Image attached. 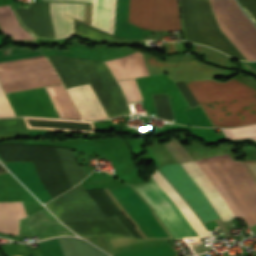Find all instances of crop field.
Wrapping results in <instances>:
<instances>
[{
  "instance_id": "d8731c3e",
  "label": "crop field",
  "mask_w": 256,
  "mask_h": 256,
  "mask_svg": "<svg viewBox=\"0 0 256 256\" xmlns=\"http://www.w3.org/2000/svg\"><path fill=\"white\" fill-rule=\"evenodd\" d=\"M143 56L150 75L167 73L169 79L176 81L209 79L223 71L196 60L162 62L152 55Z\"/></svg>"
},
{
  "instance_id": "8a807250",
  "label": "crop field",
  "mask_w": 256,
  "mask_h": 256,
  "mask_svg": "<svg viewBox=\"0 0 256 256\" xmlns=\"http://www.w3.org/2000/svg\"><path fill=\"white\" fill-rule=\"evenodd\" d=\"M211 3L221 30L248 60H256V27L241 12L235 0H211ZM181 12L185 40L246 60L220 30L210 0H181Z\"/></svg>"
},
{
  "instance_id": "cbeb9de0",
  "label": "crop field",
  "mask_w": 256,
  "mask_h": 256,
  "mask_svg": "<svg viewBox=\"0 0 256 256\" xmlns=\"http://www.w3.org/2000/svg\"><path fill=\"white\" fill-rule=\"evenodd\" d=\"M106 63L116 80L149 75L140 51Z\"/></svg>"
},
{
  "instance_id": "a9b5d70f",
  "label": "crop field",
  "mask_w": 256,
  "mask_h": 256,
  "mask_svg": "<svg viewBox=\"0 0 256 256\" xmlns=\"http://www.w3.org/2000/svg\"><path fill=\"white\" fill-rule=\"evenodd\" d=\"M7 116H15V114L0 87V117Z\"/></svg>"
},
{
  "instance_id": "bc2a9ffb",
  "label": "crop field",
  "mask_w": 256,
  "mask_h": 256,
  "mask_svg": "<svg viewBox=\"0 0 256 256\" xmlns=\"http://www.w3.org/2000/svg\"><path fill=\"white\" fill-rule=\"evenodd\" d=\"M76 35L93 40L141 45L143 41L114 37L75 19Z\"/></svg>"
},
{
  "instance_id": "4177f3b9",
  "label": "crop field",
  "mask_w": 256,
  "mask_h": 256,
  "mask_svg": "<svg viewBox=\"0 0 256 256\" xmlns=\"http://www.w3.org/2000/svg\"><path fill=\"white\" fill-rule=\"evenodd\" d=\"M250 18L256 23V0H238Z\"/></svg>"
},
{
  "instance_id": "f4fd0767",
  "label": "crop field",
  "mask_w": 256,
  "mask_h": 256,
  "mask_svg": "<svg viewBox=\"0 0 256 256\" xmlns=\"http://www.w3.org/2000/svg\"><path fill=\"white\" fill-rule=\"evenodd\" d=\"M133 187L156 210L175 239L211 236L191 208L157 170L149 183Z\"/></svg>"
},
{
  "instance_id": "5142ce71",
  "label": "crop field",
  "mask_w": 256,
  "mask_h": 256,
  "mask_svg": "<svg viewBox=\"0 0 256 256\" xmlns=\"http://www.w3.org/2000/svg\"><path fill=\"white\" fill-rule=\"evenodd\" d=\"M65 88L89 83L78 59L49 56Z\"/></svg>"
},
{
  "instance_id": "00972430",
  "label": "crop field",
  "mask_w": 256,
  "mask_h": 256,
  "mask_svg": "<svg viewBox=\"0 0 256 256\" xmlns=\"http://www.w3.org/2000/svg\"><path fill=\"white\" fill-rule=\"evenodd\" d=\"M196 51L202 52L208 55V58L224 65L230 57H227L209 47L195 45Z\"/></svg>"
},
{
  "instance_id": "5a996713",
  "label": "crop field",
  "mask_w": 256,
  "mask_h": 256,
  "mask_svg": "<svg viewBox=\"0 0 256 256\" xmlns=\"http://www.w3.org/2000/svg\"><path fill=\"white\" fill-rule=\"evenodd\" d=\"M58 235H74L46 209L20 220L19 236H38L39 239Z\"/></svg>"
},
{
  "instance_id": "22f410ed",
  "label": "crop field",
  "mask_w": 256,
  "mask_h": 256,
  "mask_svg": "<svg viewBox=\"0 0 256 256\" xmlns=\"http://www.w3.org/2000/svg\"><path fill=\"white\" fill-rule=\"evenodd\" d=\"M74 104L84 119L107 118L103 108L99 104L90 84L68 88Z\"/></svg>"
},
{
  "instance_id": "ae1a2a85",
  "label": "crop field",
  "mask_w": 256,
  "mask_h": 256,
  "mask_svg": "<svg viewBox=\"0 0 256 256\" xmlns=\"http://www.w3.org/2000/svg\"><path fill=\"white\" fill-rule=\"evenodd\" d=\"M55 1H79V2H92V0H55Z\"/></svg>"
},
{
  "instance_id": "92a150f3",
  "label": "crop field",
  "mask_w": 256,
  "mask_h": 256,
  "mask_svg": "<svg viewBox=\"0 0 256 256\" xmlns=\"http://www.w3.org/2000/svg\"><path fill=\"white\" fill-rule=\"evenodd\" d=\"M118 84L121 86L125 94L126 100L128 102L142 100V97L135 79L120 81L118 82Z\"/></svg>"
},
{
  "instance_id": "e52e79f7",
  "label": "crop field",
  "mask_w": 256,
  "mask_h": 256,
  "mask_svg": "<svg viewBox=\"0 0 256 256\" xmlns=\"http://www.w3.org/2000/svg\"><path fill=\"white\" fill-rule=\"evenodd\" d=\"M128 22L150 30L181 29L178 2L177 0H130Z\"/></svg>"
},
{
  "instance_id": "214f88e0",
  "label": "crop field",
  "mask_w": 256,
  "mask_h": 256,
  "mask_svg": "<svg viewBox=\"0 0 256 256\" xmlns=\"http://www.w3.org/2000/svg\"><path fill=\"white\" fill-rule=\"evenodd\" d=\"M28 133L21 118L0 119V135Z\"/></svg>"
},
{
  "instance_id": "d1516ede",
  "label": "crop field",
  "mask_w": 256,
  "mask_h": 256,
  "mask_svg": "<svg viewBox=\"0 0 256 256\" xmlns=\"http://www.w3.org/2000/svg\"><path fill=\"white\" fill-rule=\"evenodd\" d=\"M50 9L57 39L73 35L72 17L83 21L84 4L50 3Z\"/></svg>"
},
{
  "instance_id": "eef30255",
  "label": "crop field",
  "mask_w": 256,
  "mask_h": 256,
  "mask_svg": "<svg viewBox=\"0 0 256 256\" xmlns=\"http://www.w3.org/2000/svg\"><path fill=\"white\" fill-rule=\"evenodd\" d=\"M166 52L176 51L175 44L165 43Z\"/></svg>"
},
{
  "instance_id": "dafd665d",
  "label": "crop field",
  "mask_w": 256,
  "mask_h": 256,
  "mask_svg": "<svg viewBox=\"0 0 256 256\" xmlns=\"http://www.w3.org/2000/svg\"><path fill=\"white\" fill-rule=\"evenodd\" d=\"M226 137L239 139L252 137L256 139V125L235 128V129H221Z\"/></svg>"
},
{
  "instance_id": "d9b57169",
  "label": "crop field",
  "mask_w": 256,
  "mask_h": 256,
  "mask_svg": "<svg viewBox=\"0 0 256 256\" xmlns=\"http://www.w3.org/2000/svg\"><path fill=\"white\" fill-rule=\"evenodd\" d=\"M116 0H93L92 25L113 33Z\"/></svg>"
},
{
  "instance_id": "dd49c442",
  "label": "crop field",
  "mask_w": 256,
  "mask_h": 256,
  "mask_svg": "<svg viewBox=\"0 0 256 256\" xmlns=\"http://www.w3.org/2000/svg\"><path fill=\"white\" fill-rule=\"evenodd\" d=\"M60 118L81 119L63 85L45 87ZM44 87L5 94L16 116L59 117Z\"/></svg>"
},
{
  "instance_id": "ac0d7876",
  "label": "crop field",
  "mask_w": 256,
  "mask_h": 256,
  "mask_svg": "<svg viewBox=\"0 0 256 256\" xmlns=\"http://www.w3.org/2000/svg\"><path fill=\"white\" fill-rule=\"evenodd\" d=\"M186 84L215 127L256 123V90L233 78L226 83L209 79Z\"/></svg>"
},
{
  "instance_id": "28ad6ade",
  "label": "crop field",
  "mask_w": 256,
  "mask_h": 256,
  "mask_svg": "<svg viewBox=\"0 0 256 256\" xmlns=\"http://www.w3.org/2000/svg\"><path fill=\"white\" fill-rule=\"evenodd\" d=\"M181 165L191 177V179L206 195L207 199L223 221L235 218V215L226 205L224 200L218 194L216 189L213 187V185L210 183V181L207 179L195 161L182 163Z\"/></svg>"
},
{
  "instance_id": "34b2d1b8",
  "label": "crop field",
  "mask_w": 256,
  "mask_h": 256,
  "mask_svg": "<svg viewBox=\"0 0 256 256\" xmlns=\"http://www.w3.org/2000/svg\"><path fill=\"white\" fill-rule=\"evenodd\" d=\"M236 217L256 224V160L232 161L228 154L196 160Z\"/></svg>"
},
{
  "instance_id": "412701ff",
  "label": "crop field",
  "mask_w": 256,
  "mask_h": 256,
  "mask_svg": "<svg viewBox=\"0 0 256 256\" xmlns=\"http://www.w3.org/2000/svg\"><path fill=\"white\" fill-rule=\"evenodd\" d=\"M46 207L81 237L133 236L116 215L106 218L80 184L47 203Z\"/></svg>"
},
{
  "instance_id": "730fd06b",
  "label": "crop field",
  "mask_w": 256,
  "mask_h": 256,
  "mask_svg": "<svg viewBox=\"0 0 256 256\" xmlns=\"http://www.w3.org/2000/svg\"><path fill=\"white\" fill-rule=\"evenodd\" d=\"M186 242L187 243H194V242H200V240H199V238L187 239ZM189 246L192 248V250L195 252V254L206 251V248L203 246L202 243L189 244Z\"/></svg>"
},
{
  "instance_id": "4a817a6b",
  "label": "crop field",
  "mask_w": 256,
  "mask_h": 256,
  "mask_svg": "<svg viewBox=\"0 0 256 256\" xmlns=\"http://www.w3.org/2000/svg\"><path fill=\"white\" fill-rule=\"evenodd\" d=\"M0 27L3 34L13 39H33L18 23L10 5L0 6Z\"/></svg>"
},
{
  "instance_id": "3316defc",
  "label": "crop field",
  "mask_w": 256,
  "mask_h": 256,
  "mask_svg": "<svg viewBox=\"0 0 256 256\" xmlns=\"http://www.w3.org/2000/svg\"><path fill=\"white\" fill-rule=\"evenodd\" d=\"M54 73L52 65L44 57L0 64V83Z\"/></svg>"
},
{
  "instance_id": "733c2abd",
  "label": "crop field",
  "mask_w": 256,
  "mask_h": 256,
  "mask_svg": "<svg viewBox=\"0 0 256 256\" xmlns=\"http://www.w3.org/2000/svg\"><path fill=\"white\" fill-rule=\"evenodd\" d=\"M25 216L21 202L0 203V232L18 235L19 219Z\"/></svg>"
}]
</instances>
